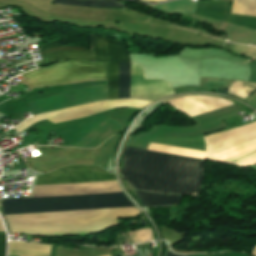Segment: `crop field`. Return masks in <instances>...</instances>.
Segmentation results:
<instances>
[{
  "instance_id": "crop-field-10",
  "label": "crop field",
  "mask_w": 256,
  "mask_h": 256,
  "mask_svg": "<svg viewBox=\"0 0 256 256\" xmlns=\"http://www.w3.org/2000/svg\"><path fill=\"white\" fill-rule=\"evenodd\" d=\"M54 3L81 7H124L115 0H54Z\"/></svg>"
},
{
  "instance_id": "crop-field-2",
  "label": "crop field",
  "mask_w": 256,
  "mask_h": 256,
  "mask_svg": "<svg viewBox=\"0 0 256 256\" xmlns=\"http://www.w3.org/2000/svg\"><path fill=\"white\" fill-rule=\"evenodd\" d=\"M205 160L126 147L122 175L136 189L198 195Z\"/></svg>"
},
{
  "instance_id": "crop-field-9",
  "label": "crop field",
  "mask_w": 256,
  "mask_h": 256,
  "mask_svg": "<svg viewBox=\"0 0 256 256\" xmlns=\"http://www.w3.org/2000/svg\"><path fill=\"white\" fill-rule=\"evenodd\" d=\"M197 3L190 2V0H178L173 2H168L160 5H148L157 9L159 12L165 14H175V13H195Z\"/></svg>"
},
{
  "instance_id": "crop-field-15",
  "label": "crop field",
  "mask_w": 256,
  "mask_h": 256,
  "mask_svg": "<svg viewBox=\"0 0 256 256\" xmlns=\"http://www.w3.org/2000/svg\"><path fill=\"white\" fill-rule=\"evenodd\" d=\"M243 256H250V255L244 254Z\"/></svg>"
},
{
  "instance_id": "crop-field-1",
  "label": "crop field",
  "mask_w": 256,
  "mask_h": 256,
  "mask_svg": "<svg viewBox=\"0 0 256 256\" xmlns=\"http://www.w3.org/2000/svg\"><path fill=\"white\" fill-rule=\"evenodd\" d=\"M117 180L96 166L71 165L37 177L35 184ZM122 192L117 181L35 185L33 196ZM4 214L134 206L124 193L34 197L1 201Z\"/></svg>"
},
{
  "instance_id": "crop-field-3",
  "label": "crop field",
  "mask_w": 256,
  "mask_h": 256,
  "mask_svg": "<svg viewBox=\"0 0 256 256\" xmlns=\"http://www.w3.org/2000/svg\"><path fill=\"white\" fill-rule=\"evenodd\" d=\"M60 42L40 47L44 66L59 60L108 61V99L119 98V61H129L124 43L91 35V51L81 45L60 46ZM120 98H131L130 62H120Z\"/></svg>"
},
{
  "instance_id": "crop-field-5",
  "label": "crop field",
  "mask_w": 256,
  "mask_h": 256,
  "mask_svg": "<svg viewBox=\"0 0 256 256\" xmlns=\"http://www.w3.org/2000/svg\"><path fill=\"white\" fill-rule=\"evenodd\" d=\"M20 81L29 87L68 83L91 78H106V62L62 61L54 65L22 74Z\"/></svg>"
},
{
  "instance_id": "crop-field-4",
  "label": "crop field",
  "mask_w": 256,
  "mask_h": 256,
  "mask_svg": "<svg viewBox=\"0 0 256 256\" xmlns=\"http://www.w3.org/2000/svg\"><path fill=\"white\" fill-rule=\"evenodd\" d=\"M134 207L52 212L35 214L5 215L11 232L37 233L73 230L101 229L117 225V218L137 216Z\"/></svg>"
},
{
  "instance_id": "crop-field-14",
  "label": "crop field",
  "mask_w": 256,
  "mask_h": 256,
  "mask_svg": "<svg viewBox=\"0 0 256 256\" xmlns=\"http://www.w3.org/2000/svg\"><path fill=\"white\" fill-rule=\"evenodd\" d=\"M144 1H165V0H144Z\"/></svg>"
},
{
  "instance_id": "crop-field-8",
  "label": "crop field",
  "mask_w": 256,
  "mask_h": 256,
  "mask_svg": "<svg viewBox=\"0 0 256 256\" xmlns=\"http://www.w3.org/2000/svg\"><path fill=\"white\" fill-rule=\"evenodd\" d=\"M143 207L167 205V204H179L182 196L164 194L148 193L135 190Z\"/></svg>"
},
{
  "instance_id": "crop-field-7",
  "label": "crop field",
  "mask_w": 256,
  "mask_h": 256,
  "mask_svg": "<svg viewBox=\"0 0 256 256\" xmlns=\"http://www.w3.org/2000/svg\"><path fill=\"white\" fill-rule=\"evenodd\" d=\"M52 246L49 244L10 241L11 256H51Z\"/></svg>"
},
{
  "instance_id": "crop-field-13",
  "label": "crop field",
  "mask_w": 256,
  "mask_h": 256,
  "mask_svg": "<svg viewBox=\"0 0 256 256\" xmlns=\"http://www.w3.org/2000/svg\"><path fill=\"white\" fill-rule=\"evenodd\" d=\"M166 256H178V255H173L172 253L167 252Z\"/></svg>"
},
{
  "instance_id": "crop-field-12",
  "label": "crop field",
  "mask_w": 256,
  "mask_h": 256,
  "mask_svg": "<svg viewBox=\"0 0 256 256\" xmlns=\"http://www.w3.org/2000/svg\"><path fill=\"white\" fill-rule=\"evenodd\" d=\"M0 231H5V230H4V227H3V225H2L1 220H0Z\"/></svg>"
},
{
  "instance_id": "crop-field-11",
  "label": "crop field",
  "mask_w": 256,
  "mask_h": 256,
  "mask_svg": "<svg viewBox=\"0 0 256 256\" xmlns=\"http://www.w3.org/2000/svg\"><path fill=\"white\" fill-rule=\"evenodd\" d=\"M6 236L0 235V256H5Z\"/></svg>"
},
{
  "instance_id": "crop-field-6",
  "label": "crop field",
  "mask_w": 256,
  "mask_h": 256,
  "mask_svg": "<svg viewBox=\"0 0 256 256\" xmlns=\"http://www.w3.org/2000/svg\"><path fill=\"white\" fill-rule=\"evenodd\" d=\"M150 103H152V101H145V100H138V99H120V100L95 102V103L63 109V110H59L51 113L40 114L38 116H34L26 120L24 123L15 127L14 129L20 133L29 125L40 120L48 119L56 123V122L67 121V120H72V119L92 115L98 112H102L108 109L118 108V107H132V108L141 109L149 105Z\"/></svg>"
}]
</instances>
